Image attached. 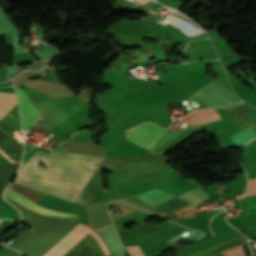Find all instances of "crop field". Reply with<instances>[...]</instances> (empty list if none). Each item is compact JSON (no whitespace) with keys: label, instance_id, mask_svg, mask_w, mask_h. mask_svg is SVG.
<instances>
[{"label":"crop field","instance_id":"crop-field-1","mask_svg":"<svg viewBox=\"0 0 256 256\" xmlns=\"http://www.w3.org/2000/svg\"><path fill=\"white\" fill-rule=\"evenodd\" d=\"M41 159L49 170L89 181L104 158L52 151L48 154L36 151L26 162L37 166ZM21 164L14 182L77 203L87 181ZM62 182H58L57 180ZM86 187V186H85Z\"/></svg>","mask_w":256,"mask_h":256},{"label":"crop field","instance_id":"crop-field-2","mask_svg":"<svg viewBox=\"0 0 256 256\" xmlns=\"http://www.w3.org/2000/svg\"><path fill=\"white\" fill-rule=\"evenodd\" d=\"M190 98L210 108L234 106L240 102L235 94L215 80L193 93Z\"/></svg>","mask_w":256,"mask_h":256},{"label":"crop field","instance_id":"crop-field-3","mask_svg":"<svg viewBox=\"0 0 256 256\" xmlns=\"http://www.w3.org/2000/svg\"><path fill=\"white\" fill-rule=\"evenodd\" d=\"M9 189L17 192L18 194L24 196L25 198L33 201L36 196L40 193L39 191H36L34 189L16 184V183H12L9 186ZM7 189L5 191V195L11 197L12 199L20 202L21 204L37 211V212H41V213H45L54 217H59V218H67V219H74L77 220L78 218V214H73V213H65V212H61V211H57V210H53V209H49V208H45L42 207L40 205H37L27 199H25L24 197L18 195L17 193L11 191Z\"/></svg>","mask_w":256,"mask_h":256},{"label":"crop field","instance_id":"crop-field-4","mask_svg":"<svg viewBox=\"0 0 256 256\" xmlns=\"http://www.w3.org/2000/svg\"><path fill=\"white\" fill-rule=\"evenodd\" d=\"M165 130L153 122H143L126 130L125 138L144 148H151Z\"/></svg>","mask_w":256,"mask_h":256},{"label":"crop field","instance_id":"crop-field-5","mask_svg":"<svg viewBox=\"0 0 256 256\" xmlns=\"http://www.w3.org/2000/svg\"><path fill=\"white\" fill-rule=\"evenodd\" d=\"M15 90L20 100L22 125L24 132H26L31 126L42 118L30 102L22 87L16 88Z\"/></svg>","mask_w":256,"mask_h":256},{"label":"crop field","instance_id":"crop-field-6","mask_svg":"<svg viewBox=\"0 0 256 256\" xmlns=\"http://www.w3.org/2000/svg\"><path fill=\"white\" fill-rule=\"evenodd\" d=\"M98 232L102 235L104 240L108 243L113 256H121L122 248L117 239L113 226L111 225L109 227L103 228L101 230H98Z\"/></svg>","mask_w":256,"mask_h":256},{"label":"crop field","instance_id":"crop-field-7","mask_svg":"<svg viewBox=\"0 0 256 256\" xmlns=\"http://www.w3.org/2000/svg\"><path fill=\"white\" fill-rule=\"evenodd\" d=\"M17 103L15 93L0 92V119Z\"/></svg>","mask_w":256,"mask_h":256},{"label":"crop field","instance_id":"crop-field-8","mask_svg":"<svg viewBox=\"0 0 256 256\" xmlns=\"http://www.w3.org/2000/svg\"><path fill=\"white\" fill-rule=\"evenodd\" d=\"M180 197H182L188 201L194 202L196 204H198L208 198L200 188L196 189V190L189 191V192L181 195Z\"/></svg>","mask_w":256,"mask_h":256},{"label":"crop field","instance_id":"crop-field-9","mask_svg":"<svg viewBox=\"0 0 256 256\" xmlns=\"http://www.w3.org/2000/svg\"><path fill=\"white\" fill-rule=\"evenodd\" d=\"M223 256H245L242 245L222 252Z\"/></svg>","mask_w":256,"mask_h":256},{"label":"crop field","instance_id":"crop-field-10","mask_svg":"<svg viewBox=\"0 0 256 256\" xmlns=\"http://www.w3.org/2000/svg\"><path fill=\"white\" fill-rule=\"evenodd\" d=\"M1 120L6 122L7 124L11 125L15 129L21 131L20 125L18 120H16L14 117H12L10 114H6Z\"/></svg>","mask_w":256,"mask_h":256},{"label":"crop field","instance_id":"crop-field-11","mask_svg":"<svg viewBox=\"0 0 256 256\" xmlns=\"http://www.w3.org/2000/svg\"><path fill=\"white\" fill-rule=\"evenodd\" d=\"M126 249L132 256H145L138 245L128 246Z\"/></svg>","mask_w":256,"mask_h":256},{"label":"crop field","instance_id":"crop-field-12","mask_svg":"<svg viewBox=\"0 0 256 256\" xmlns=\"http://www.w3.org/2000/svg\"><path fill=\"white\" fill-rule=\"evenodd\" d=\"M37 125H39V126H41V127H43V128H45V129H50V128H52V127H54L53 125H51L50 123H48L47 121H45V120H41L40 122H38L37 123ZM49 131V130H48Z\"/></svg>","mask_w":256,"mask_h":256},{"label":"crop field","instance_id":"crop-field-13","mask_svg":"<svg viewBox=\"0 0 256 256\" xmlns=\"http://www.w3.org/2000/svg\"><path fill=\"white\" fill-rule=\"evenodd\" d=\"M214 256H218V254L214 255Z\"/></svg>","mask_w":256,"mask_h":256}]
</instances>
